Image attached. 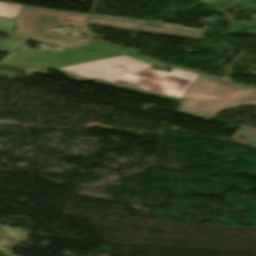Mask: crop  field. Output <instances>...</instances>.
<instances>
[{"label": "crop field", "mask_w": 256, "mask_h": 256, "mask_svg": "<svg viewBox=\"0 0 256 256\" xmlns=\"http://www.w3.org/2000/svg\"><path fill=\"white\" fill-rule=\"evenodd\" d=\"M149 65L122 56L55 70L74 81H93L177 102L199 76L176 69L165 74L147 67Z\"/></svg>", "instance_id": "8a807250"}, {"label": "crop field", "mask_w": 256, "mask_h": 256, "mask_svg": "<svg viewBox=\"0 0 256 256\" xmlns=\"http://www.w3.org/2000/svg\"><path fill=\"white\" fill-rule=\"evenodd\" d=\"M88 44L93 45V46H97V47H101V48H105V49H110V50L122 52V53H125V54L137 52V51H133L134 49H132V48H123V47L111 45V44L104 43V42L93 41V40H90Z\"/></svg>", "instance_id": "d8731c3e"}, {"label": "crop field", "mask_w": 256, "mask_h": 256, "mask_svg": "<svg viewBox=\"0 0 256 256\" xmlns=\"http://www.w3.org/2000/svg\"><path fill=\"white\" fill-rule=\"evenodd\" d=\"M202 1H207V0H202Z\"/></svg>", "instance_id": "28ad6ade"}, {"label": "crop field", "mask_w": 256, "mask_h": 256, "mask_svg": "<svg viewBox=\"0 0 256 256\" xmlns=\"http://www.w3.org/2000/svg\"><path fill=\"white\" fill-rule=\"evenodd\" d=\"M253 105H256V87L200 75L176 111L212 121L221 111Z\"/></svg>", "instance_id": "ac0d7876"}, {"label": "crop field", "mask_w": 256, "mask_h": 256, "mask_svg": "<svg viewBox=\"0 0 256 256\" xmlns=\"http://www.w3.org/2000/svg\"><path fill=\"white\" fill-rule=\"evenodd\" d=\"M190 71H192V70H190ZM194 72H198V71H194ZM199 73H202V72H199Z\"/></svg>", "instance_id": "3316defc"}, {"label": "crop field", "mask_w": 256, "mask_h": 256, "mask_svg": "<svg viewBox=\"0 0 256 256\" xmlns=\"http://www.w3.org/2000/svg\"><path fill=\"white\" fill-rule=\"evenodd\" d=\"M22 6L20 4L0 3V16L16 18Z\"/></svg>", "instance_id": "e52e79f7"}, {"label": "crop field", "mask_w": 256, "mask_h": 256, "mask_svg": "<svg viewBox=\"0 0 256 256\" xmlns=\"http://www.w3.org/2000/svg\"><path fill=\"white\" fill-rule=\"evenodd\" d=\"M89 24L107 27H115L129 31L202 39L204 31L200 29L183 28L179 25L150 22L142 20L115 18L107 16L92 15Z\"/></svg>", "instance_id": "f4fd0767"}, {"label": "crop field", "mask_w": 256, "mask_h": 256, "mask_svg": "<svg viewBox=\"0 0 256 256\" xmlns=\"http://www.w3.org/2000/svg\"><path fill=\"white\" fill-rule=\"evenodd\" d=\"M129 55H131L133 57H136V58H138L140 60H143V61H147V62H151V63H156V62H153V60L151 58L144 57V56H142V55H140L138 53L129 54ZM159 64H162V63H159ZM163 65H167V64H163ZM167 66H171V65H167ZM171 67H174V66H171Z\"/></svg>", "instance_id": "5a996713"}, {"label": "crop field", "mask_w": 256, "mask_h": 256, "mask_svg": "<svg viewBox=\"0 0 256 256\" xmlns=\"http://www.w3.org/2000/svg\"><path fill=\"white\" fill-rule=\"evenodd\" d=\"M89 15L68 11L23 6L18 17L14 36L32 41L56 45L60 48L79 46L88 39L52 33V28L61 26L79 27L85 33ZM20 27V29H19Z\"/></svg>", "instance_id": "34b2d1b8"}, {"label": "crop field", "mask_w": 256, "mask_h": 256, "mask_svg": "<svg viewBox=\"0 0 256 256\" xmlns=\"http://www.w3.org/2000/svg\"><path fill=\"white\" fill-rule=\"evenodd\" d=\"M116 56H122V54L89 46L67 49L65 52L61 53L59 51L54 52L50 50L35 51L26 48L24 44L14 53L2 59L0 64L51 69Z\"/></svg>", "instance_id": "412701ff"}, {"label": "crop field", "mask_w": 256, "mask_h": 256, "mask_svg": "<svg viewBox=\"0 0 256 256\" xmlns=\"http://www.w3.org/2000/svg\"><path fill=\"white\" fill-rule=\"evenodd\" d=\"M15 20L8 18H0V31L7 34L10 38L5 40H0V52L10 53L15 48L24 43V40L16 42L15 39L11 36Z\"/></svg>", "instance_id": "dd49c442"}]
</instances>
